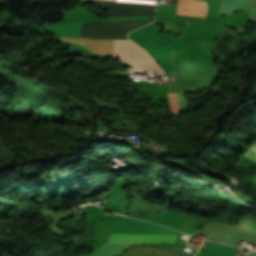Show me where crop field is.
Returning a JSON list of instances; mask_svg holds the SVG:
<instances>
[{
    "label": "crop field",
    "mask_w": 256,
    "mask_h": 256,
    "mask_svg": "<svg viewBox=\"0 0 256 256\" xmlns=\"http://www.w3.org/2000/svg\"><path fill=\"white\" fill-rule=\"evenodd\" d=\"M108 1H115V0H108Z\"/></svg>",
    "instance_id": "d8731c3e"
},
{
    "label": "crop field",
    "mask_w": 256,
    "mask_h": 256,
    "mask_svg": "<svg viewBox=\"0 0 256 256\" xmlns=\"http://www.w3.org/2000/svg\"><path fill=\"white\" fill-rule=\"evenodd\" d=\"M115 56L137 69L165 74L144 50L130 40H115Z\"/></svg>",
    "instance_id": "ac0d7876"
},
{
    "label": "crop field",
    "mask_w": 256,
    "mask_h": 256,
    "mask_svg": "<svg viewBox=\"0 0 256 256\" xmlns=\"http://www.w3.org/2000/svg\"><path fill=\"white\" fill-rule=\"evenodd\" d=\"M116 1L136 2V3H149V4H155V2H156V1H148V0H116Z\"/></svg>",
    "instance_id": "e52e79f7"
},
{
    "label": "crop field",
    "mask_w": 256,
    "mask_h": 256,
    "mask_svg": "<svg viewBox=\"0 0 256 256\" xmlns=\"http://www.w3.org/2000/svg\"><path fill=\"white\" fill-rule=\"evenodd\" d=\"M244 156L256 161V148L252 146L251 149L244 154Z\"/></svg>",
    "instance_id": "dd49c442"
},
{
    "label": "crop field",
    "mask_w": 256,
    "mask_h": 256,
    "mask_svg": "<svg viewBox=\"0 0 256 256\" xmlns=\"http://www.w3.org/2000/svg\"><path fill=\"white\" fill-rule=\"evenodd\" d=\"M176 235L112 234L108 242L173 243ZM131 244L105 243L90 256H113Z\"/></svg>",
    "instance_id": "8a807250"
},
{
    "label": "crop field",
    "mask_w": 256,
    "mask_h": 256,
    "mask_svg": "<svg viewBox=\"0 0 256 256\" xmlns=\"http://www.w3.org/2000/svg\"><path fill=\"white\" fill-rule=\"evenodd\" d=\"M121 256H183L168 250L148 247H133Z\"/></svg>",
    "instance_id": "412701ff"
},
{
    "label": "crop field",
    "mask_w": 256,
    "mask_h": 256,
    "mask_svg": "<svg viewBox=\"0 0 256 256\" xmlns=\"http://www.w3.org/2000/svg\"><path fill=\"white\" fill-rule=\"evenodd\" d=\"M168 98H169L171 110L176 112V113L179 112L180 108H179L176 93H168Z\"/></svg>",
    "instance_id": "f4fd0767"
},
{
    "label": "crop field",
    "mask_w": 256,
    "mask_h": 256,
    "mask_svg": "<svg viewBox=\"0 0 256 256\" xmlns=\"http://www.w3.org/2000/svg\"><path fill=\"white\" fill-rule=\"evenodd\" d=\"M176 14L205 15L206 3L196 0H178Z\"/></svg>",
    "instance_id": "34b2d1b8"
}]
</instances>
